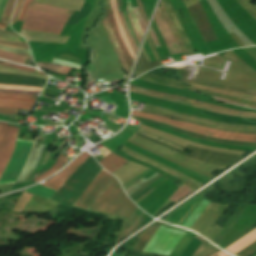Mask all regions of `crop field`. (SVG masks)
<instances>
[{"label":"crop field","instance_id":"1","mask_svg":"<svg viewBox=\"0 0 256 256\" xmlns=\"http://www.w3.org/2000/svg\"><path fill=\"white\" fill-rule=\"evenodd\" d=\"M119 186L120 184L114 178L89 210L98 212L99 209L104 205V203ZM124 196V192L122 191L121 187H119L105 203V205L100 209L99 212L109 215ZM136 208L137 207L125 196L110 215L128 219L130 215L136 210Z\"/></svg>","mask_w":256,"mask_h":256},{"label":"crop field","instance_id":"2","mask_svg":"<svg viewBox=\"0 0 256 256\" xmlns=\"http://www.w3.org/2000/svg\"><path fill=\"white\" fill-rule=\"evenodd\" d=\"M132 115L136 116H142L146 117L161 123H165L174 127H178L187 131L211 136V137H218V138H225V139H231V140H239V141H247V142H255L256 143V135H246V134H235V133H227V132H222L202 126H198L195 124L191 123H185V122H179V121H174L171 119H168L166 117L158 116V115H153V114H147V113H141L137 111L132 110Z\"/></svg>","mask_w":256,"mask_h":256},{"label":"crop field","instance_id":"3","mask_svg":"<svg viewBox=\"0 0 256 256\" xmlns=\"http://www.w3.org/2000/svg\"><path fill=\"white\" fill-rule=\"evenodd\" d=\"M67 20L66 17L28 9L22 29L59 35Z\"/></svg>","mask_w":256,"mask_h":256},{"label":"crop field","instance_id":"4","mask_svg":"<svg viewBox=\"0 0 256 256\" xmlns=\"http://www.w3.org/2000/svg\"><path fill=\"white\" fill-rule=\"evenodd\" d=\"M32 142L33 141L17 139L16 148L3 175L0 178V184L15 182L29 156Z\"/></svg>","mask_w":256,"mask_h":256},{"label":"crop field","instance_id":"5","mask_svg":"<svg viewBox=\"0 0 256 256\" xmlns=\"http://www.w3.org/2000/svg\"><path fill=\"white\" fill-rule=\"evenodd\" d=\"M184 233L183 231L166 229L160 226L143 251L169 255Z\"/></svg>","mask_w":256,"mask_h":256},{"label":"crop field","instance_id":"6","mask_svg":"<svg viewBox=\"0 0 256 256\" xmlns=\"http://www.w3.org/2000/svg\"><path fill=\"white\" fill-rule=\"evenodd\" d=\"M113 178L114 177H112L110 174L102 169L98 176L95 178V180L92 182V184L90 183L91 185L76 201L74 206L88 210Z\"/></svg>","mask_w":256,"mask_h":256},{"label":"crop field","instance_id":"7","mask_svg":"<svg viewBox=\"0 0 256 256\" xmlns=\"http://www.w3.org/2000/svg\"><path fill=\"white\" fill-rule=\"evenodd\" d=\"M19 128L0 122V176L3 173L14 150L16 135Z\"/></svg>","mask_w":256,"mask_h":256},{"label":"crop field","instance_id":"8","mask_svg":"<svg viewBox=\"0 0 256 256\" xmlns=\"http://www.w3.org/2000/svg\"><path fill=\"white\" fill-rule=\"evenodd\" d=\"M89 156L90 155L88 153L84 152L59 175L41 185L58 191L60 187L66 182V180L72 175V173L79 167V165Z\"/></svg>","mask_w":256,"mask_h":256},{"label":"crop field","instance_id":"9","mask_svg":"<svg viewBox=\"0 0 256 256\" xmlns=\"http://www.w3.org/2000/svg\"><path fill=\"white\" fill-rule=\"evenodd\" d=\"M154 20L165 40L169 53L171 55L181 53V50L160 11V7L157 9Z\"/></svg>","mask_w":256,"mask_h":256},{"label":"crop field","instance_id":"10","mask_svg":"<svg viewBox=\"0 0 256 256\" xmlns=\"http://www.w3.org/2000/svg\"><path fill=\"white\" fill-rule=\"evenodd\" d=\"M38 141L39 140H34L29 159H28L27 163L25 164L23 170L21 171L16 182H22V181L27 180L28 177L31 175V173L36 168L38 161L42 155L44 146H45V145H39L38 148H36Z\"/></svg>","mask_w":256,"mask_h":256},{"label":"crop field","instance_id":"11","mask_svg":"<svg viewBox=\"0 0 256 256\" xmlns=\"http://www.w3.org/2000/svg\"><path fill=\"white\" fill-rule=\"evenodd\" d=\"M34 102L35 100L28 98L0 96V107L31 110Z\"/></svg>","mask_w":256,"mask_h":256},{"label":"crop field","instance_id":"12","mask_svg":"<svg viewBox=\"0 0 256 256\" xmlns=\"http://www.w3.org/2000/svg\"><path fill=\"white\" fill-rule=\"evenodd\" d=\"M130 88L140 90V91L149 92V93H153V94H158V95H162V96H167V97H171V98H175V99L195 103V104H198V105H202V106H206V107H210V108H214V109H220V110H226V111H231V112H238V113L256 115V113H246V112L234 111V110H230L228 108H224V107H220V106H216V105H212V104H208V103L193 101V100H189V99H185V98H181V97H177V96H174V95H170V94H166V93H162V92H158V91H153V90H149V89L139 88V87H135V86H130Z\"/></svg>","mask_w":256,"mask_h":256},{"label":"crop field","instance_id":"13","mask_svg":"<svg viewBox=\"0 0 256 256\" xmlns=\"http://www.w3.org/2000/svg\"><path fill=\"white\" fill-rule=\"evenodd\" d=\"M255 240H256V229H254L253 231H251L250 233H248L247 235L239 239L237 242H235L225 250H227L228 252L234 255L240 250H242L243 248H245L246 246H248L249 244H251L252 242H254Z\"/></svg>","mask_w":256,"mask_h":256},{"label":"crop field","instance_id":"14","mask_svg":"<svg viewBox=\"0 0 256 256\" xmlns=\"http://www.w3.org/2000/svg\"><path fill=\"white\" fill-rule=\"evenodd\" d=\"M128 161L124 160L120 156L112 153L105 159H103L101 162H99L107 171L110 173L116 171L118 168H120L122 165L127 163Z\"/></svg>","mask_w":256,"mask_h":256},{"label":"crop field","instance_id":"15","mask_svg":"<svg viewBox=\"0 0 256 256\" xmlns=\"http://www.w3.org/2000/svg\"><path fill=\"white\" fill-rule=\"evenodd\" d=\"M146 215L147 214H145L140 209L137 210L129 220L119 240L133 233Z\"/></svg>","mask_w":256,"mask_h":256},{"label":"crop field","instance_id":"16","mask_svg":"<svg viewBox=\"0 0 256 256\" xmlns=\"http://www.w3.org/2000/svg\"><path fill=\"white\" fill-rule=\"evenodd\" d=\"M29 8L39 10V11L48 12V13L58 14V15H62V16H67V17H69V15L72 13L71 10L54 7V6H49V5L37 3L34 1H32Z\"/></svg>","mask_w":256,"mask_h":256},{"label":"crop field","instance_id":"17","mask_svg":"<svg viewBox=\"0 0 256 256\" xmlns=\"http://www.w3.org/2000/svg\"><path fill=\"white\" fill-rule=\"evenodd\" d=\"M102 22H103V24H104V26H105V28H106V30H107L108 36H109V38H110V41H111V43H112V45H113V48H114V50H115V52H116V54H117V57H118V59H119L121 65L123 66L124 70H125L126 72H128V74H129V73H130V70H129V68H128V66H127V64H126V62H125V60H124V58H123V56H122L120 50H119V47H118V45H117V43H116L115 37H114V35H113L112 29H111V27H110V24H109L107 18H105Z\"/></svg>","mask_w":256,"mask_h":256},{"label":"crop field","instance_id":"18","mask_svg":"<svg viewBox=\"0 0 256 256\" xmlns=\"http://www.w3.org/2000/svg\"><path fill=\"white\" fill-rule=\"evenodd\" d=\"M42 88L0 84V91L37 94ZM42 91V90H41Z\"/></svg>","mask_w":256,"mask_h":256},{"label":"crop field","instance_id":"19","mask_svg":"<svg viewBox=\"0 0 256 256\" xmlns=\"http://www.w3.org/2000/svg\"><path fill=\"white\" fill-rule=\"evenodd\" d=\"M130 91L141 93V94H146V95H151V96L163 98V99H166V100H170V101H174V102H178V103H182V104H186V105H189V106H193V107H197V108H201V109H205V110H210V111H214V112H218V113H222V114L256 118V116H250V115H243V114L231 113V112H226V111L214 110V109H210V108H206V107H202V106H198V105H194V104H190V103H186V102H182V101H178V100H174V99H170V98H166V97H162V96H158V95H153V94H149V93H145V92L132 90V89H130Z\"/></svg>","mask_w":256,"mask_h":256},{"label":"crop field","instance_id":"20","mask_svg":"<svg viewBox=\"0 0 256 256\" xmlns=\"http://www.w3.org/2000/svg\"><path fill=\"white\" fill-rule=\"evenodd\" d=\"M209 202L203 200L199 206L194 210V212L186 219V221L182 224V226L190 228L192 224L198 219V217L202 214L205 208L208 206Z\"/></svg>","mask_w":256,"mask_h":256},{"label":"crop field","instance_id":"21","mask_svg":"<svg viewBox=\"0 0 256 256\" xmlns=\"http://www.w3.org/2000/svg\"><path fill=\"white\" fill-rule=\"evenodd\" d=\"M116 2H117L118 14H119L120 19H121V22H122V24H123L125 33H126V35H127V37H128V40H129V42H130V44H131V46H132V48L134 49L135 54H136L138 47H137V45H136V43H135V41H134V39H133V37H132V35H131L129 29H128L126 20H125L123 14H122V5H121V1H120V0H116Z\"/></svg>","mask_w":256,"mask_h":256},{"label":"crop field","instance_id":"22","mask_svg":"<svg viewBox=\"0 0 256 256\" xmlns=\"http://www.w3.org/2000/svg\"><path fill=\"white\" fill-rule=\"evenodd\" d=\"M0 58L29 65L32 58L0 51Z\"/></svg>","mask_w":256,"mask_h":256},{"label":"crop field","instance_id":"23","mask_svg":"<svg viewBox=\"0 0 256 256\" xmlns=\"http://www.w3.org/2000/svg\"><path fill=\"white\" fill-rule=\"evenodd\" d=\"M65 156H59L56 164L54 166H52L50 169H48L46 172H44L42 175L32 179L34 181H39L45 177H47L48 175L52 174L53 172H55L56 170L62 168L61 166L66 162V158H64Z\"/></svg>","mask_w":256,"mask_h":256},{"label":"crop field","instance_id":"24","mask_svg":"<svg viewBox=\"0 0 256 256\" xmlns=\"http://www.w3.org/2000/svg\"><path fill=\"white\" fill-rule=\"evenodd\" d=\"M25 191L32 192V193H35L37 195H40L42 197L49 198V199H51L53 197V195L56 193V191L50 190L48 188H45V187H42L39 185L32 187L28 190H25Z\"/></svg>","mask_w":256,"mask_h":256},{"label":"crop field","instance_id":"25","mask_svg":"<svg viewBox=\"0 0 256 256\" xmlns=\"http://www.w3.org/2000/svg\"><path fill=\"white\" fill-rule=\"evenodd\" d=\"M157 175V173H155L154 175H152L150 178L146 179H141L137 182H135L134 184H132L130 187L124 189L125 193L127 195L132 194L133 192H135L137 189H139L141 186H143L146 182H148L150 179H152L153 177H155Z\"/></svg>","mask_w":256,"mask_h":256},{"label":"crop field","instance_id":"26","mask_svg":"<svg viewBox=\"0 0 256 256\" xmlns=\"http://www.w3.org/2000/svg\"><path fill=\"white\" fill-rule=\"evenodd\" d=\"M0 39L25 42L22 36L3 30H0Z\"/></svg>","mask_w":256,"mask_h":256},{"label":"crop field","instance_id":"27","mask_svg":"<svg viewBox=\"0 0 256 256\" xmlns=\"http://www.w3.org/2000/svg\"><path fill=\"white\" fill-rule=\"evenodd\" d=\"M13 5H14V0H8L7 6L5 8L4 14L0 22L8 24L11 13H12Z\"/></svg>","mask_w":256,"mask_h":256},{"label":"crop field","instance_id":"28","mask_svg":"<svg viewBox=\"0 0 256 256\" xmlns=\"http://www.w3.org/2000/svg\"><path fill=\"white\" fill-rule=\"evenodd\" d=\"M126 2H127V7H128V9H129L130 17H131V20H132V22H133L134 28L136 29L137 34H138V36H139V38H140V40H141L143 34H142V32H141V29H140V27H139V24H138V22H137L135 16H134V13H133V11H132V9H131V1L128 0V1H126Z\"/></svg>","mask_w":256,"mask_h":256},{"label":"crop field","instance_id":"29","mask_svg":"<svg viewBox=\"0 0 256 256\" xmlns=\"http://www.w3.org/2000/svg\"><path fill=\"white\" fill-rule=\"evenodd\" d=\"M0 49L5 50V51H9V52H12V53H16V54H20V55H25V56L31 57L29 50L17 49V48L5 47V46H0Z\"/></svg>","mask_w":256,"mask_h":256},{"label":"crop field","instance_id":"30","mask_svg":"<svg viewBox=\"0 0 256 256\" xmlns=\"http://www.w3.org/2000/svg\"><path fill=\"white\" fill-rule=\"evenodd\" d=\"M0 45L29 49L26 43L0 40Z\"/></svg>","mask_w":256,"mask_h":256},{"label":"crop field","instance_id":"31","mask_svg":"<svg viewBox=\"0 0 256 256\" xmlns=\"http://www.w3.org/2000/svg\"><path fill=\"white\" fill-rule=\"evenodd\" d=\"M212 97L215 98L216 100L220 101V102H223V103H227V104H231V105H236V106H240V107H244V108L256 109V107H253V106L243 105V104H240V103H237V102L225 100V99L214 97V96H212Z\"/></svg>","mask_w":256,"mask_h":256},{"label":"crop field","instance_id":"32","mask_svg":"<svg viewBox=\"0 0 256 256\" xmlns=\"http://www.w3.org/2000/svg\"><path fill=\"white\" fill-rule=\"evenodd\" d=\"M0 64H1V65H5V66H8V67L23 69V70L35 72V73L40 74V75H44L42 72H40V71H38V70H34V69H30V68H25V67H21V66H17V65L8 63V62H4V63H0ZM45 76H46V75H45Z\"/></svg>","mask_w":256,"mask_h":256},{"label":"crop field","instance_id":"33","mask_svg":"<svg viewBox=\"0 0 256 256\" xmlns=\"http://www.w3.org/2000/svg\"><path fill=\"white\" fill-rule=\"evenodd\" d=\"M31 1L32 0H24L17 21L23 20L24 13H25L26 9L28 8L29 4L31 3Z\"/></svg>","mask_w":256,"mask_h":256},{"label":"crop field","instance_id":"34","mask_svg":"<svg viewBox=\"0 0 256 256\" xmlns=\"http://www.w3.org/2000/svg\"><path fill=\"white\" fill-rule=\"evenodd\" d=\"M53 63H57V64H61V65H65V66H72L74 68H81V65H77V64H73V63H70V62H67V61H64V60H60V59H56L54 58Z\"/></svg>","mask_w":256,"mask_h":256},{"label":"crop field","instance_id":"35","mask_svg":"<svg viewBox=\"0 0 256 256\" xmlns=\"http://www.w3.org/2000/svg\"><path fill=\"white\" fill-rule=\"evenodd\" d=\"M132 9H133V11H134V13H135V15H136L138 21H139V24H140V26H141L142 32H143V34H144V32H145V30H146V27H145L144 22H143V20H142L140 14H139V12H138V8H137V7H133Z\"/></svg>","mask_w":256,"mask_h":256},{"label":"crop field","instance_id":"36","mask_svg":"<svg viewBox=\"0 0 256 256\" xmlns=\"http://www.w3.org/2000/svg\"><path fill=\"white\" fill-rule=\"evenodd\" d=\"M137 4H138L140 13H141V15H142V17H143V19H144V22H145V24H146V27H147L148 20H147V18H146V15H145V13H144V10H143V8H142V6H141V4H140V0H137Z\"/></svg>","mask_w":256,"mask_h":256},{"label":"crop field","instance_id":"37","mask_svg":"<svg viewBox=\"0 0 256 256\" xmlns=\"http://www.w3.org/2000/svg\"><path fill=\"white\" fill-rule=\"evenodd\" d=\"M20 3H21V0H17V4H16V7H15V9H14V13H13V18H12L11 24H14V23H15L16 16H17V12H18V8H19V6H20Z\"/></svg>","mask_w":256,"mask_h":256},{"label":"crop field","instance_id":"38","mask_svg":"<svg viewBox=\"0 0 256 256\" xmlns=\"http://www.w3.org/2000/svg\"><path fill=\"white\" fill-rule=\"evenodd\" d=\"M0 95L22 96V97H28V98H33V99L36 98L34 95H23V94H14V93H2V92H0Z\"/></svg>","mask_w":256,"mask_h":256},{"label":"crop field","instance_id":"39","mask_svg":"<svg viewBox=\"0 0 256 256\" xmlns=\"http://www.w3.org/2000/svg\"><path fill=\"white\" fill-rule=\"evenodd\" d=\"M149 33H150V35H151V37H152V39H153V41H154L155 46H156V47L160 46L159 43H158V41H157V38H156V36H155V34H154V32H153V30H152L151 27H150Z\"/></svg>","mask_w":256,"mask_h":256},{"label":"crop field","instance_id":"40","mask_svg":"<svg viewBox=\"0 0 256 256\" xmlns=\"http://www.w3.org/2000/svg\"><path fill=\"white\" fill-rule=\"evenodd\" d=\"M7 0H0V19L6 6Z\"/></svg>","mask_w":256,"mask_h":256},{"label":"crop field","instance_id":"41","mask_svg":"<svg viewBox=\"0 0 256 256\" xmlns=\"http://www.w3.org/2000/svg\"><path fill=\"white\" fill-rule=\"evenodd\" d=\"M18 110L16 109H2L0 108V113H15L17 114Z\"/></svg>","mask_w":256,"mask_h":256},{"label":"crop field","instance_id":"42","mask_svg":"<svg viewBox=\"0 0 256 256\" xmlns=\"http://www.w3.org/2000/svg\"><path fill=\"white\" fill-rule=\"evenodd\" d=\"M125 10H126V14H127L129 23H130V25H131V27H132V29H133V32H134V34H135V36H136V38H137V40H138V42H139V44H140L141 42L139 41V38H138V36H137V34H136V32H135V30H134L132 24H131L130 17H129V14H128V10H127V9H125Z\"/></svg>","mask_w":256,"mask_h":256},{"label":"crop field","instance_id":"43","mask_svg":"<svg viewBox=\"0 0 256 256\" xmlns=\"http://www.w3.org/2000/svg\"><path fill=\"white\" fill-rule=\"evenodd\" d=\"M229 256V255H227L226 253H224V252H222V251H220V252H218V253H215V254H213V255H211V256Z\"/></svg>","mask_w":256,"mask_h":256},{"label":"crop field","instance_id":"44","mask_svg":"<svg viewBox=\"0 0 256 256\" xmlns=\"http://www.w3.org/2000/svg\"><path fill=\"white\" fill-rule=\"evenodd\" d=\"M123 14H124V16H125V18H126V20H127V17H126L125 11L123 12ZM127 23H128V20H127ZM128 25H129V23H128ZM129 28H130V25H129ZM130 30H131V28H130ZM131 33H132V30H131ZM132 35H133V33H132ZM133 37H134V39H135V41H136V43H137V45H138V47H139V44H138V42H137V40H136V38H135V36H134V35H133Z\"/></svg>","mask_w":256,"mask_h":256},{"label":"crop field","instance_id":"45","mask_svg":"<svg viewBox=\"0 0 256 256\" xmlns=\"http://www.w3.org/2000/svg\"><path fill=\"white\" fill-rule=\"evenodd\" d=\"M6 27H7V25L6 24H2V23H0V29H6Z\"/></svg>","mask_w":256,"mask_h":256}]
</instances>
